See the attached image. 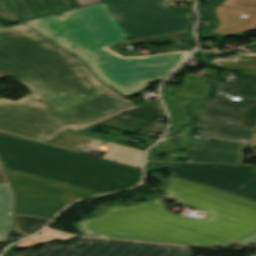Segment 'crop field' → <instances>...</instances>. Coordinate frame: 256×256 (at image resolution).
<instances>
[{"label": "crop field", "mask_w": 256, "mask_h": 256, "mask_svg": "<svg viewBox=\"0 0 256 256\" xmlns=\"http://www.w3.org/2000/svg\"><path fill=\"white\" fill-rule=\"evenodd\" d=\"M66 149L0 133L2 167L106 193L139 183L141 170L98 159L87 171L53 163Z\"/></svg>", "instance_id": "412701ff"}, {"label": "crop field", "mask_w": 256, "mask_h": 256, "mask_svg": "<svg viewBox=\"0 0 256 256\" xmlns=\"http://www.w3.org/2000/svg\"><path fill=\"white\" fill-rule=\"evenodd\" d=\"M241 56L256 58V54H245V55H241Z\"/></svg>", "instance_id": "120bbe31"}, {"label": "crop field", "mask_w": 256, "mask_h": 256, "mask_svg": "<svg viewBox=\"0 0 256 256\" xmlns=\"http://www.w3.org/2000/svg\"><path fill=\"white\" fill-rule=\"evenodd\" d=\"M93 139L94 138L79 135L69 130L55 140L51 141L50 143L71 150L80 151L81 149L85 148ZM143 154L144 152L142 151L134 150L120 145H115L102 158L140 167Z\"/></svg>", "instance_id": "22f410ed"}, {"label": "crop field", "mask_w": 256, "mask_h": 256, "mask_svg": "<svg viewBox=\"0 0 256 256\" xmlns=\"http://www.w3.org/2000/svg\"><path fill=\"white\" fill-rule=\"evenodd\" d=\"M223 63L222 66L216 65ZM209 66L256 75V59L238 56L236 59L216 58Z\"/></svg>", "instance_id": "92a150f3"}, {"label": "crop field", "mask_w": 256, "mask_h": 256, "mask_svg": "<svg viewBox=\"0 0 256 256\" xmlns=\"http://www.w3.org/2000/svg\"><path fill=\"white\" fill-rule=\"evenodd\" d=\"M255 122L256 99L218 96L208 100L195 128L217 138L248 140Z\"/></svg>", "instance_id": "e52e79f7"}, {"label": "crop field", "mask_w": 256, "mask_h": 256, "mask_svg": "<svg viewBox=\"0 0 256 256\" xmlns=\"http://www.w3.org/2000/svg\"><path fill=\"white\" fill-rule=\"evenodd\" d=\"M49 250L17 252L13 256H192L188 247L117 240L79 239L48 244Z\"/></svg>", "instance_id": "dd49c442"}, {"label": "crop field", "mask_w": 256, "mask_h": 256, "mask_svg": "<svg viewBox=\"0 0 256 256\" xmlns=\"http://www.w3.org/2000/svg\"><path fill=\"white\" fill-rule=\"evenodd\" d=\"M250 142L251 143H256V131H255V133H254V135H253V137H252Z\"/></svg>", "instance_id": "1d83c4d3"}, {"label": "crop field", "mask_w": 256, "mask_h": 256, "mask_svg": "<svg viewBox=\"0 0 256 256\" xmlns=\"http://www.w3.org/2000/svg\"><path fill=\"white\" fill-rule=\"evenodd\" d=\"M191 37H193L192 30L183 31V32L164 34V35L143 38V39H138V40H133V41L126 40L118 45H115V46L109 48V49L122 55V56H138L135 52H119L116 46L124 45V44H130V45L148 44V43L163 42V41H170V40H177V39H184V38H191Z\"/></svg>", "instance_id": "dafd665d"}, {"label": "crop field", "mask_w": 256, "mask_h": 256, "mask_svg": "<svg viewBox=\"0 0 256 256\" xmlns=\"http://www.w3.org/2000/svg\"><path fill=\"white\" fill-rule=\"evenodd\" d=\"M68 10H72L68 0H0V12L26 21Z\"/></svg>", "instance_id": "3316defc"}, {"label": "crop field", "mask_w": 256, "mask_h": 256, "mask_svg": "<svg viewBox=\"0 0 256 256\" xmlns=\"http://www.w3.org/2000/svg\"><path fill=\"white\" fill-rule=\"evenodd\" d=\"M69 203L15 197L14 212L46 217L49 211H60Z\"/></svg>", "instance_id": "733c2abd"}, {"label": "crop field", "mask_w": 256, "mask_h": 256, "mask_svg": "<svg viewBox=\"0 0 256 256\" xmlns=\"http://www.w3.org/2000/svg\"><path fill=\"white\" fill-rule=\"evenodd\" d=\"M235 244H256V234H254L238 243H235Z\"/></svg>", "instance_id": "ae1a2a85"}, {"label": "crop field", "mask_w": 256, "mask_h": 256, "mask_svg": "<svg viewBox=\"0 0 256 256\" xmlns=\"http://www.w3.org/2000/svg\"><path fill=\"white\" fill-rule=\"evenodd\" d=\"M14 196L7 183H0V243L8 242Z\"/></svg>", "instance_id": "4a817a6b"}, {"label": "crop field", "mask_w": 256, "mask_h": 256, "mask_svg": "<svg viewBox=\"0 0 256 256\" xmlns=\"http://www.w3.org/2000/svg\"><path fill=\"white\" fill-rule=\"evenodd\" d=\"M173 163H162L159 167H157L156 169H162V168H166L168 169Z\"/></svg>", "instance_id": "bd1437ed"}, {"label": "crop field", "mask_w": 256, "mask_h": 256, "mask_svg": "<svg viewBox=\"0 0 256 256\" xmlns=\"http://www.w3.org/2000/svg\"><path fill=\"white\" fill-rule=\"evenodd\" d=\"M163 194L206 211L205 219L185 218L168 209L162 197L116 206L77 224L84 235L172 244L227 247L256 233V202L169 176Z\"/></svg>", "instance_id": "ac0d7876"}, {"label": "crop field", "mask_w": 256, "mask_h": 256, "mask_svg": "<svg viewBox=\"0 0 256 256\" xmlns=\"http://www.w3.org/2000/svg\"><path fill=\"white\" fill-rule=\"evenodd\" d=\"M183 83H184V85L181 86L175 92V95L189 98V99H195L196 103H194L189 108L191 109V112H192L191 114H194L195 116H197L199 118V116L203 110V107L208 99V96L212 90V88L206 87V86H207V84H213V83L204 78L192 76L189 74L187 76H185V80ZM198 118L194 122L193 126L185 127L183 130H181L180 132H178L176 134L192 133V131L197 123Z\"/></svg>", "instance_id": "5142ce71"}, {"label": "crop field", "mask_w": 256, "mask_h": 256, "mask_svg": "<svg viewBox=\"0 0 256 256\" xmlns=\"http://www.w3.org/2000/svg\"><path fill=\"white\" fill-rule=\"evenodd\" d=\"M222 5L256 12V0H224Z\"/></svg>", "instance_id": "730fd06b"}, {"label": "crop field", "mask_w": 256, "mask_h": 256, "mask_svg": "<svg viewBox=\"0 0 256 256\" xmlns=\"http://www.w3.org/2000/svg\"><path fill=\"white\" fill-rule=\"evenodd\" d=\"M49 220V218L14 213L12 218V231H17L25 237L31 233L36 232V230L44 227Z\"/></svg>", "instance_id": "214f88e0"}, {"label": "crop field", "mask_w": 256, "mask_h": 256, "mask_svg": "<svg viewBox=\"0 0 256 256\" xmlns=\"http://www.w3.org/2000/svg\"><path fill=\"white\" fill-rule=\"evenodd\" d=\"M61 14L26 24L76 54L106 84L125 96L167 77L190 53L121 57L108 50L127 38L105 2Z\"/></svg>", "instance_id": "34b2d1b8"}, {"label": "crop field", "mask_w": 256, "mask_h": 256, "mask_svg": "<svg viewBox=\"0 0 256 256\" xmlns=\"http://www.w3.org/2000/svg\"><path fill=\"white\" fill-rule=\"evenodd\" d=\"M218 91L234 92L236 96L256 98V76L239 73L230 83H220Z\"/></svg>", "instance_id": "bc2a9ffb"}, {"label": "crop field", "mask_w": 256, "mask_h": 256, "mask_svg": "<svg viewBox=\"0 0 256 256\" xmlns=\"http://www.w3.org/2000/svg\"><path fill=\"white\" fill-rule=\"evenodd\" d=\"M158 162H147V171L149 172L152 170L153 166L156 165Z\"/></svg>", "instance_id": "750c4746"}, {"label": "crop field", "mask_w": 256, "mask_h": 256, "mask_svg": "<svg viewBox=\"0 0 256 256\" xmlns=\"http://www.w3.org/2000/svg\"><path fill=\"white\" fill-rule=\"evenodd\" d=\"M256 130V129H255Z\"/></svg>", "instance_id": "d32e631a"}, {"label": "crop field", "mask_w": 256, "mask_h": 256, "mask_svg": "<svg viewBox=\"0 0 256 256\" xmlns=\"http://www.w3.org/2000/svg\"><path fill=\"white\" fill-rule=\"evenodd\" d=\"M172 139V138H171ZM171 139H168L166 141H163L156 146H154L152 149L149 150L147 155V160H156L155 157L158 152H168L173 149H178V146H176Z\"/></svg>", "instance_id": "4177f3b9"}, {"label": "crop field", "mask_w": 256, "mask_h": 256, "mask_svg": "<svg viewBox=\"0 0 256 256\" xmlns=\"http://www.w3.org/2000/svg\"><path fill=\"white\" fill-rule=\"evenodd\" d=\"M247 144L209 138L198 150L186 148L180 158L203 162L240 163Z\"/></svg>", "instance_id": "28ad6ade"}, {"label": "crop field", "mask_w": 256, "mask_h": 256, "mask_svg": "<svg viewBox=\"0 0 256 256\" xmlns=\"http://www.w3.org/2000/svg\"><path fill=\"white\" fill-rule=\"evenodd\" d=\"M167 172L256 200V169L246 165L175 163Z\"/></svg>", "instance_id": "d8731c3e"}, {"label": "crop field", "mask_w": 256, "mask_h": 256, "mask_svg": "<svg viewBox=\"0 0 256 256\" xmlns=\"http://www.w3.org/2000/svg\"><path fill=\"white\" fill-rule=\"evenodd\" d=\"M4 75L22 81L33 93L17 102L0 98V130L43 142L68 128L79 132L138 108L102 84L79 59L26 25L0 29Z\"/></svg>", "instance_id": "8a807250"}, {"label": "crop field", "mask_w": 256, "mask_h": 256, "mask_svg": "<svg viewBox=\"0 0 256 256\" xmlns=\"http://www.w3.org/2000/svg\"><path fill=\"white\" fill-rule=\"evenodd\" d=\"M69 238H72V237H68V236H64V235H61L59 233H56V232H53L51 230H44L42 233H40L39 235L31 238V239H28V240H25L15 246L17 247H27V246H31V245H35V244H39V243H44V242H49L51 240H59V241H62V240H66V239H69Z\"/></svg>", "instance_id": "a9b5d70f"}, {"label": "crop field", "mask_w": 256, "mask_h": 256, "mask_svg": "<svg viewBox=\"0 0 256 256\" xmlns=\"http://www.w3.org/2000/svg\"><path fill=\"white\" fill-rule=\"evenodd\" d=\"M169 1L194 0H105L128 39L192 29L193 9L168 8Z\"/></svg>", "instance_id": "f4fd0767"}, {"label": "crop field", "mask_w": 256, "mask_h": 256, "mask_svg": "<svg viewBox=\"0 0 256 256\" xmlns=\"http://www.w3.org/2000/svg\"><path fill=\"white\" fill-rule=\"evenodd\" d=\"M2 170L15 196L70 202L101 194L6 168Z\"/></svg>", "instance_id": "5a996713"}, {"label": "crop field", "mask_w": 256, "mask_h": 256, "mask_svg": "<svg viewBox=\"0 0 256 256\" xmlns=\"http://www.w3.org/2000/svg\"><path fill=\"white\" fill-rule=\"evenodd\" d=\"M216 13L220 25L214 32L220 35L256 29V13L218 5Z\"/></svg>", "instance_id": "cbeb9de0"}, {"label": "crop field", "mask_w": 256, "mask_h": 256, "mask_svg": "<svg viewBox=\"0 0 256 256\" xmlns=\"http://www.w3.org/2000/svg\"><path fill=\"white\" fill-rule=\"evenodd\" d=\"M0 16H1V17H3L4 19H6V20H10V21L26 22V21H21V20H18V19L12 18V17L7 16V15H4V14H2V13H0Z\"/></svg>", "instance_id": "d3111659"}, {"label": "crop field", "mask_w": 256, "mask_h": 256, "mask_svg": "<svg viewBox=\"0 0 256 256\" xmlns=\"http://www.w3.org/2000/svg\"><path fill=\"white\" fill-rule=\"evenodd\" d=\"M189 136L190 135H180V139L179 140H176L178 141L179 145H181V148L183 150L185 144L187 143L188 139H189ZM182 150L177 152V153H171V154H167L166 157L164 158H159L161 160H171V161H177L178 158L180 157L181 153H182Z\"/></svg>", "instance_id": "eef30255"}, {"label": "crop field", "mask_w": 256, "mask_h": 256, "mask_svg": "<svg viewBox=\"0 0 256 256\" xmlns=\"http://www.w3.org/2000/svg\"><path fill=\"white\" fill-rule=\"evenodd\" d=\"M137 104L143 108L119 116L108 122L163 134L167 125L154 121L158 116L167 118L161 102L143 100Z\"/></svg>", "instance_id": "d1516ede"}, {"label": "crop field", "mask_w": 256, "mask_h": 256, "mask_svg": "<svg viewBox=\"0 0 256 256\" xmlns=\"http://www.w3.org/2000/svg\"><path fill=\"white\" fill-rule=\"evenodd\" d=\"M175 87L176 86H162V90L165 92L163 97L166 99V107L169 112L171 122H173L171 130L167 133L165 138L171 136L172 133L178 130V128L183 124H190L192 122L191 118H193L185 115V113L189 112L188 109H186V104H190V102L193 101L174 97L172 93Z\"/></svg>", "instance_id": "d9b57169"}, {"label": "crop field", "mask_w": 256, "mask_h": 256, "mask_svg": "<svg viewBox=\"0 0 256 256\" xmlns=\"http://www.w3.org/2000/svg\"><path fill=\"white\" fill-rule=\"evenodd\" d=\"M98 158L80 153L66 151L55 162L87 170Z\"/></svg>", "instance_id": "00972430"}]
</instances>
